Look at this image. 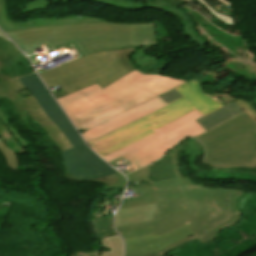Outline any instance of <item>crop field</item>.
<instances>
[{
    "label": "crop field",
    "instance_id": "d9b57169",
    "mask_svg": "<svg viewBox=\"0 0 256 256\" xmlns=\"http://www.w3.org/2000/svg\"><path fill=\"white\" fill-rule=\"evenodd\" d=\"M94 21H104L99 18H92L89 16H72L69 18L63 19H35L28 20L23 23H13L6 17V1L0 0V28L6 32L10 30H15L19 28H27V27H36V26H44V25H54V24H65V23H77V22H94Z\"/></svg>",
    "mask_w": 256,
    "mask_h": 256
},
{
    "label": "crop field",
    "instance_id": "dafd665d",
    "mask_svg": "<svg viewBox=\"0 0 256 256\" xmlns=\"http://www.w3.org/2000/svg\"><path fill=\"white\" fill-rule=\"evenodd\" d=\"M102 245L103 247L111 248V250L103 252L101 256H122L123 242L118 235L102 240Z\"/></svg>",
    "mask_w": 256,
    "mask_h": 256
},
{
    "label": "crop field",
    "instance_id": "eef30255",
    "mask_svg": "<svg viewBox=\"0 0 256 256\" xmlns=\"http://www.w3.org/2000/svg\"><path fill=\"white\" fill-rule=\"evenodd\" d=\"M0 152L4 155L5 159L7 160V164L10 168L16 170L18 165L16 155L10 151L3 142L0 143Z\"/></svg>",
    "mask_w": 256,
    "mask_h": 256
},
{
    "label": "crop field",
    "instance_id": "028f5c9d",
    "mask_svg": "<svg viewBox=\"0 0 256 256\" xmlns=\"http://www.w3.org/2000/svg\"><path fill=\"white\" fill-rule=\"evenodd\" d=\"M0 35H2L3 37H5V38H7L4 34H2L1 32H0ZM8 39V38H7Z\"/></svg>",
    "mask_w": 256,
    "mask_h": 256
},
{
    "label": "crop field",
    "instance_id": "733c2abd",
    "mask_svg": "<svg viewBox=\"0 0 256 256\" xmlns=\"http://www.w3.org/2000/svg\"><path fill=\"white\" fill-rule=\"evenodd\" d=\"M157 211L156 203L118 210L115 225H125L153 220V213Z\"/></svg>",
    "mask_w": 256,
    "mask_h": 256
},
{
    "label": "crop field",
    "instance_id": "22f410ed",
    "mask_svg": "<svg viewBox=\"0 0 256 256\" xmlns=\"http://www.w3.org/2000/svg\"><path fill=\"white\" fill-rule=\"evenodd\" d=\"M34 69L10 42L0 37V82L30 74Z\"/></svg>",
    "mask_w": 256,
    "mask_h": 256
},
{
    "label": "crop field",
    "instance_id": "28ad6ade",
    "mask_svg": "<svg viewBox=\"0 0 256 256\" xmlns=\"http://www.w3.org/2000/svg\"><path fill=\"white\" fill-rule=\"evenodd\" d=\"M62 154L66 168L79 180L117 173L87 146L65 150Z\"/></svg>",
    "mask_w": 256,
    "mask_h": 256
},
{
    "label": "crop field",
    "instance_id": "00972430",
    "mask_svg": "<svg viewBox=\"0 0 256 256\" xmlns=\"http://www.w3.org/2000/svg\"><path fill=\"white\" fill-rule=\"evenodd\" d=\"M154 202H155L154 195H138V198L123 200V204L121 203L122 204L121 208H127V207L154 203Z\"/></svg>",
    "mask_w": 256,
    "mask_h": 256
},
{
    "label": "crop field",
    "instance_id": "e1f06a70",
    "mask_svg": "<svg viewBox=\"0 0 256 256\" xmlns=\"http://www.w3.org/2000/svg\"><path fill=\"white\" fill-rule=\"evenodd\" d=\"M0 142H1V140H0Z\"/></svg>",
    "mask_w": 256,
    "mask_h": 256
},
{
    "label": "crop field",
    "instance_id": "5142ce71",
    "mask_svg": "<svg viewBox=\"0 0 256 256\" xmlns=\"http://www.w3.org/2000/svg\"><path fill=\"white\" fill-rule=\"evenodd\" d=\"M167 1H174V2H184L187 0H153L148 3V6L145 7H152V8H157V9H162L165 11H168L170 13L175 14L184 24L185 31L187 35L192 39V41L197 42L198 44L201 45V47H205V43H207L202 37H200L195 30L193 29L192 26H194V23L191 19L190 16L186 15L179 9L175 8L171 4H169ZM201 4H203L213 15L216 16L219 20L222 22L229 24V25H234V22L232 18L224 16L220 14L219 12L215 11L214 9L211 8V6L206 3L204 0H198Z\"/></svg>",
    "mask_w": 256,
    "mask_h": 256
},
{
    "label": "crop field",
    "instance_id": "750c4746",
    "mask_svg": "<svg viewBox=\"0 0 256 256\" xmlns=\"http://www.w3.org/2000/svg\"><path fill=\"white\" fill-rule=\"evenodd\" d=\"M206 163L209 164L210 166L215 167V168H230V167H252V168H256V160L244 161V162H235V163H228V164H219V165H211L208 162H206Z\"/></svg>",
    "mask_w": 256,
    "mask_h": 256
},
{
    "label": "crop field",
    "instance_id": "5a996713",
    "mask_svg": "<svg viewBox=\"0 0 256 256\" xmlns=\"http://www.w3.org/2000/svg\"><path fill=\"white\" fill-rule=\"evenodd\" d=\"M8 98L14 108H26L35 123L39 125L60 148H73L63 132L47 117L32 94L20 83L18 78L0 83V99Z\"/></svg>",
    "mask_w": 256,
    "mask_h": 256
},
{
    "label": "crop field",
    "instance_id": "cbeb9de0",
    "mask_svg": "<svg viewBox=\"0 0 256 256\" xmlns=\"http://www.w3.org/2000/svg\"><path fill=\"white\" fill-rule=\"evenodd\" d=\"M164 105H166V103L162 101L159 97H157L140 106H137L131 110H128L97 127L87 130L82 135L86 139V141L95 139L117 127H120L124 124L134 121Z\"/></svg>",
    "mask_w": 256,
    "mask_h": 256
},
{
    "label": "crop field",
    "instance_id": "4177f3b9",
    "mask_svg": "<svg viewBox=\"0 0 256 256\" xmlns=\"http://www.w3.org/2000/svg\"><path fill=\"white\" fill-rule=\"evenodd\" d=\"M129 179V183L130 182H143V181H149L150 176H149V165L139 169L135 172H132L128 175H126Z\"/></svg>",
    "mask_w": 256,
    "mask_h": 256
},
{
    "label": "crop field",
    "instance_id": "bd1437ed",
    "mask_svg": "<svg viewBox=\"0 0 256 256\" xmlns=\"http://www.w3.org/2000/svg\"><path fill=\"white\" fill-rule=\"evenodd\" d=\"M0 119H2L4 124H7L9 130L13 133V135L18 139V141L20 142V144H22L23 146L29 145V141H27L26 139H24L20 134L17 133L16 129H14V127L10 126V121L8 120V118L6 116H4L1 113L0 110Z\"/></svg>",
    "mask_w": 256,
    "mask_h": 256
},
{
    "label": "crop field",
    "instance_id": "34b2d1b8",
    "mask_svg": "<svg viewBox=\"0 0 256 256\" xmlns=\"http://www.w3.org/2000/svg\"><path fill=\"white\" fill-rule=\"evenodd\" d=\"M140 48L130 47L82 56L39 76L48 88L60 85L63 92L55 94L56 99L95 83L103 89L136 69L129 58Z\"/></svg>",
    "mask_w": 256,
    "mask_h": 256
},
{
    "label": "crop field",
    "instance_id": "ae1a2a85",
    "mask_svg": "<svg viewBox=\"0 0 256 256\" xmlns=\"http://www.w3.org/2000/svg\"><path fill=\"white\" fill-rule=\"evenodd\" d=\"M128 188L137 189V194H154L152 182L131 183Z\"/></svg>",
    "mask_w": 256,
    "mask_h": 256
},
{
    "label": "crop field",
    "instance_id": "f4fd0767",
    "mask_svg": "<svg viewBox=\"0 0 256 256\" xmlns=\"http://www.w3.org/2000/svg\"><path fill=\"white\" fill-rule=\"evenodd\" d=\"M194 138L204 143L212 164L256 159V123L246 114Z\"/></svg>",
    "mask_w": 256,
    "mask_h": 256
},
{
    "label": "crop field",
    "instance_id": "d8731c3e",
    "mask_svg": "<svg viewBox=\"0 0 256 256\" xmlns=\"http://www.w3.org/2000/svg\"><path fill=\"white\" fill-rule=\"evenodd\" d=\"M47 42L52 49L63 44L74 42L81 51L86 54L116 50L130 46H152L157 44L153 23H145L144 37L116 36V35H88L77 37H64L38 41L20 46L22 51H27L26 55L33 54V48ZM82 53V54H83Z\"/></svg>",
    "mask_w": 256,
    "mask_h": 256
},
{
    "label": "crop field",
    "instance_id": "412701ff",
    "mask_svg": "<svg viewBox=\"0 0 256 256\" xmlns=\"http://www.w3.org/2000/svg\"><path fill=\"white\" fill-rule=\"evenodd\" d=\"M176 90L184 98L88 142L90 147L97 152L149 127L157 130L195 109L204 116L224 105L217 99L205 94L200 81L197 80L190 81L176 88Z\"/></svg>",
    "mask_w": 256,
    "mask_h": 256
},
{
    "label": "crop field",
    "instance_id": "730fd06b",
    "mask_svg": "<svg viewBox=\"0 0 256 256\" xmlns=\"http://www.w3.org/2000/svg\"><path fill=\"white\" fill-rule=\"evenodd\" d=\"M188 47H190L189 45L186 47V48H188ZM143 48H150V47H143ZM143 48H141L140 50H138V51H140V54H138V56L137 57H135V58H133L140 66H143V65H146L148 62H153V64H152V66H149V68L150 67H153L154 65H156L157 63V60L156 59H158V58H161V57H163V56H166V55H168V54H170V53H168V54H166V55H160V56H158V57H155V58H146V57H144V56H140L142 53H143V51H142V49ZM185 49V48H184ZM182 50V49H181ZM179 51V50H178ZM174 52H176V51H174ZM172 53V52H171ZM135 54V53H134ZM131 57H133L132 55H131ZM140 68V67H139ZM139 68H137L136 70H138ZM139 71V70H138ZM140 72V71H139ZM162 72V71H161ZM161 72L159 73V75L161 74ZM140 73H142V74H145V73H143V72H140ZM151 74H155V73H151Z\"/></svg>",
    "mask_w": 256,
    "mask_h": 256
},
{
    "label": "crop field",
    "instance_id": "bc2a9ffb",
    "mask_svg": "<svg viewBox=\"0 0 256 256\" xmlns=\"http://www.w3.org/2000/svg\"><path fill=\"white\" fill-rule=\"evenodd\" d=\"M55 1H64V0H37L28 3L26 6L25 10L23 13L32 11V10H43L44 8L47 7L49 3H53ZM86 1H93V2H100V3H105L109 4L118 8L122 9H128V10H139L143 9L144 6L140 5L138 3L130 2V1H125V0H86Z\"/></svg>",
    "mask_w": 256,
    "mask_h": 256
},
{
    "label": "crop field",
    "instance_id": "214f88e0",
    "mask_svg": "<svg viewBox=\"0 0 256 256\" xmlns=\"http://www.w3.org/2000/svg\"><path fill=\"white\" fill-rule=\"evenodd\" d=\"M153 133H155L154 130L149 128V129H147V130H145L143 132H140V133H138V134H136V135H134L132 137H129V138L123 140V141H120V142H118V143H116V144H114V145H112L110 147H107V148H105V149H103V150H101V151H99L97 153L103 157V156H105V155H107V154H109L111 152H114L116 150H119V149H122L124 147H127V146H129V145H131V144H133V143H135V142H137V141H139V140H141V139H143V138L153 134Z\"/></svg>",
    "mask_w": 256,
    "mask_h": 256
},
{
    "label": "crop field",
    "instance_id": "5866460e",
    "mask_svg": "<svg viewBox=\"0 0 256 256\" xmlns=\"http://www.w3.org/2000/svg\"><path fill=\"white\" fill-rule=\"evenodd\" d=\"M221 1L224 2V3H226V4H229V5L231 6V3L226 2V1H224V0H221Z\"/></svg>",
    "mask_w": 256,
    "mask_h": 256
},
{
    "label": "crop field",
    "instance_id": "4a817a6b",
    "mask_svg": "<svg viewBox=\"0 0 256 256\" xmlns=\"http://www.w3.org/2000/svg\"><path fill=\"white\" fill-rule=\"evenodd\" d=\"M244 113L238 105L233 101L222 108L218 109L217 111L202 117L196 122L201 125L206 131L216 127L217 125Z\"/></svg>",
    "mask_w": 256,
    "mask_h": 256
},
{
    "label": "crop field",
    "instance_id": "d3111659",
    "mask_svg": "<svg viewBox=\"0 0 256 256\" xmlns=\"http://www.w3.org/2000/svg\"><path fill=\"white\" fill-rule=\"evenodd\" d=\"M235 102L239 105V107L245 111V113L256 122V110L244 99H236Z\"/></svg>",
    "mask_w": 256,
    "mask_h": 256
},
{
    "label": "crop field",
    "instance_id": "dd49c442",
    "mask_svg": "<svg viewBox=\"0 0 256 256\" xmlns=\"http://www.w3.org/2000/svg\"><path fill=\"white\" fill-rule=\"evenodd\" d=\"M200 117L202 115L195 110L178 121L156 131V134L130 147L114 152L104 157V159L110 162L127 154L138 168L145 166L164 156L166 152L183 139L205 132L194 121Z\"/></svg>",
    "mask_w": 256,
    "mask_h": 256
},
{
    "label": "crop field",
    "instance_id": "d32e631a",
    "mask_svg": "<svg viewBox=\"0 0 256 256\" xmlns=\"http://www.w3.org/2000/svg\"><path fill=\"white\" fill-rule=\"evenodd\" d=\"M35 57H36V55H32V56L28 57L29 60H30L33 64L38 63Z\"/></svg>",
    "mask_w": 256,
    "mask_h": 256
},
{
    "label": "crop field",
    "instance_id": "1d83c4d3",
    "mask_svg": "<svg viewBox=\"0 0 256 256\" xmlns=\"http://www.w3.org/2000/svg\"><path fill=\"white\" fill-rule=\"evenodd\" d=\"M159 97L161 99H163L167 104L182 98V96L175 89H173Z\"/></svg>",
    "mask_w": 256,
    "mask_h": 256
},
{
    "label": "crop field",
    "instance_id": "3316defc",
    "mask_svg": "<svg viewBox=\"0 0 256 256\" xmlns=\"http://www.w3.org/2000/svg\"><path fill=\"white\" fill-rule=\"evenodd\" d=\"M19 80L30 91L48 117L64 132L74 147L85 145L84 141L70 123L64 112L46 91L37 74L20 77Z\"/></svg>",
    "mask_w": 256,
    "mask_h": 256
},
{
    "label": "crop field",
    "instance_id": "8a807250",
    "mask_svg": "<svg viewBox=\"0 0 256 256\" xmlns=\"http://www.w3.org/2000/svg\"><path fill=\"white\" fill-rule=\"evenodd\" d=\"M154 191L158 207L154 221L116 227L123 239L162 235L187 223L196 234L156 253L167 254L195 239L201 243L211 241L221 229L235 225L241 216L236 203L244 192L237 189L195 185Z\"/></svg>",
    "mask_w": 256,
    "mask_h": 256
},
{
    "label": "crop field",
    "instance_id": "120bbe31",
    "mask_svg": "<svg viewBox=\"0 0 256 256\" xmlns=\"http://www.w3.org/2000/svg\"><path fill=\"white\" fill-rule=\"evenodd\" d=\"M125 256H167V255L151 253V254L125 255Z\"/></svg>",
    "mask_w": 256,
    "mask_h": 256
},
{
    "label": "crop field",
    "instance_id": "e52e79f7",
    "mask_svg": "<svg viewBox=\"0 0 256 256\" xmlns=\"http://www.w3.org/2000/svg\"><path fill=\"white\" fill-rule=\"evenodd\" d=\"M143 30L144 23L95 22L19 29L6 34L19 46L42 39L88 34L143 36Z\"/></svg>",
    "mask_w": 256,
    "mask_h": 256
},
{
    "label": "crop field",
    "instance_id": "92a150f3",
    "mask_svg": "<svg viewBox=\"0 0 256 256\" xmlns=\"http://www.w3.org/2000/svg\"><path fill=\"white\" fill-rule=\"evenodd\" d=\"M65 178L77 180L71 173H69L67 170L64 171ZM79 181V180H77ZM83 181H101L105 183L104 189L107 188H117V187H123L126 186V180L123 175L120 173L113 174L110 176H106L103 178H96V179H89V180H83Z\"/></svg>",
    "mask_w": 256,
    "mask_h": 256
},
{
    "label": "crop field",
    "instance_id": "a9b5d70f",
    "mask_svg": "<svg viewBox=\"0 0 256 256\" xmlns=\"http://www.w3.org/2000/svg\"><path fill=\"white\" fill-rule=\"evenodd\" d=\"M125 110H127V109L121 106V107H119V108H117V109H115V110H113V111H111V112H109V113L99 117V118H96V119H94V120H92L90 122H87V123L79 126V128H91L93 126H96V125H98V124H100V123H102V122H104V121H106V120L116 116L117 114H119V113H121V112H123Z\"/></svg>",
    "mask_w": 256,
    "mask_h": 256
},
{
    "label": "crop field",
    "instance_id": "ac0d7876",
    "mask_svg": "<svg viewBox=\"0 0 256 256\" xmlns=\"http://www.w3.org/2000/svg\"><path fill=\"white\" fill-rule=\"evenodd\" d=\"M183 83L186 82L142 75L135 70L103 90L95 84L60 98L58 102L77 127L120 105L129 109Z\"/></svg>",
    "mask_w": 256,
    "mask_h": 256
},
{
    "label": "crop field",
    "instance_id": "d1516ede",
    "mask_svg": "<svg viewBox=\"0 0 256 256\" xmlns=\"http://www.w3.org/2000/svg\"><path fill=\"white\" fill-rule=\"evenodd\" d=\"M194 235L188 225L177 228L163 236L149 235L124 240L126 254L149 253L159 251L181 239Z\"/></svg>",
    "mask_w": 256,
    "mask_h": 256
}]
</instances>
